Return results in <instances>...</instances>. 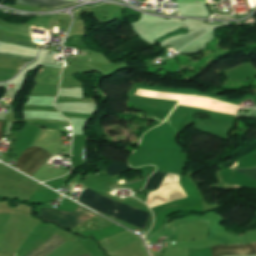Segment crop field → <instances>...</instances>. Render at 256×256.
I'll use <instances>...</instances> for the list:
<instances>
[{"label":"crop field","mask_w":256,"mask_h":256,"mask_svg":"<svg viewBox=\"0 0 256 256\" xmlns=\"http://www.w3.org/2000/svg\"><path fill=\"white\" fill-rule=\"evenodd\" d=\"M11 44L26 46V47H30V48H35L36 45H37V44H32V43L23 42V41L14 42V43H11Z\"/></svg>","instance_id":"28ad6ade"},{"label":"crop field","mask_w":256,"mask_h":256,"mask_svg":"<svg viewBox=\"0 0 256 256\" xmlns=\"http://www.w3.org/2000/svg\"><path fill=\"white\" fill-rule=\"evenodd\" d=\"M130 168L131 167H129L126 164H120L118 162L111 161L110 165L108 166V168L105 172L108 175H116V174H120L124 171H127Z\"/></svg>","instance_id":"e52e79f7"},{"label":"crop field","mask_w":256,"mask_h":256,"mask_svg":"<svg viewBox=\"0 0 256 256\" xmlns=\"http://www.w3.org/2000/svg\"><path fill=\"white\" fill-rule=\"evenodd\" d=\"M97 214L80 207L72 213L61 210L41 208L40 216L46 221H52L65 229H71L73 226L95 216Z\"/></svg>","instance_id":"ac0d7876"},{"label":"crop field","mask_w":256,"mask_h":256,"mask_svg":"<svg viewBox=\"0 0 256 256\" xmlns=\"http://www.w3.org/2000/svg\"><path fill=\"white\" fill-rule=\"evenodd\" d=\"M82 256H90L89 254H86V255H82Z\"/></svg>","instance_id":"cbeb9de0"},{"label":"crop field","mask_w":256,"mask_h":256,"mask_svg":"<svg viewBox=\"0 0 256 256\" xmlns=\"http://www.w3.org/2000/svg\"><path fill=\"white\" fill-rule=\"evenodd\" d=\"M79 201L109 216L132 224L141 229L147 221V212L105 198L89 189L82 192Z\"/></svg>","instance_id":"8a807250"},{"label":"crop field","mask_w":256,"mask_h":256,"mask_svg":"<svg viewBox=\"0 0 256 256\" xmlns=\"http://www.w3.org/2000/svg\"><path fill=\"white\" fill-rule=\"evenodd\" d=\"M1 123H2V122H0V138H1Z\"/></svg>","instance_id":"22f410ed"},{"label":"crop field","mask_w":256,"mask_h":256,"mask_svg":"<svg viewBox=\"0 0 256 256\" xmlns=\"http://www.w3.org/2000/svg\"><path fill=\"white\" fill-rule=\"evenodd\" d=\"M71 3L72 2H66L61 0H15V4L47 8H55Z\"/></svg>","instance_id":"dd49c442"},{"label":"crop field","mask_w":256,"mask_h":256,"mask_svg":"<svg viewBox=\"0 0 256 256\" xmlns=\"http://www.w3.org/2000/svg\"><path fill=\"white\" fill-rule=\"evenodd\" d=\"M163 175H164L163 172L155 171L153 173V175L149 178L144 189H147V190L156 189L158 187Z\"/></svg>","instance_id":"d8731c3e"},{"label":"crop field","mask_w":256,"mask_h":256,"mask_svg":"<svg viewBox=\"0 0 256 256\" xmlns=\"http://www.w3.org/2000/svg\"><path fill=\"white\" fill-rule=\"evenodd\" d=\"M0 57H3V58H10V59H16V60H32V59H33V58H26V57H19V56L7 55V54H0Z\"/></svg>","instance_id":"3316defc"},{"label":"crop field","mask_w":256,"mask_h":256,"mask_svg":"<svg viewBox=\"0 0 256 256\" xmlns=\"http://www.w3.org/2000/svg\"><path fill=\"white\" fill-rule=\"evenodd\" d=\"M240 174H243L251 179L256 180V168L254 169H238V170H234Z\"/></svg>","instance_id":"5a996713"},{"label":"crop field","mask_w":256,"mask_h":256,"mask_svg":"<svg viewBox=\"0 0 256 256\" xmlns=\"http://www.w3.org/2000/svg\"><path fill=\"white\" fill-rule=\"evenodd\" d=\"M50 157V153L39 147L28 148L16 160L15 168L32 176Z\"/></svg>","instance_id":"34b2d1b8"},{"label":"crop field","mask_w":256,"mask_h":256,"mask_svg":"<svg viewBox=\"0 0 256 256\" xmlns=\"http://www.w3.org/2000/svg\"><path fill=\"white\" fill-rule=\"evenodd\" d=\"M212 256L256 255V243L247 245H218L211 248Z\"/></svg>","instance_id":"412701ff"},{"label":"crop field","mask_w":256,"mask_h":256,"mask_svg":"<svg viewBox=\"0 0 256 256\" xmlns=\"http://www.w3.org/2000/svg\"><path fill=\"white\" fill-rule=\"evenodd\" d=\"M66 240L57 236L53 235L33 251H31L27 256H46L63 244Z\"/></svg>","instance_id":"f4fd0767"},{"label":"crop field","mask_w":256,"mask_h":256,"mask_svg":"<svg viewBox=\"0 0 256 256\" xmlns=\"http://www.w3.org/2000/svg\"><path fill=\"white\" fill-rule=\"evenodd\" d=\"M0 41H1V42L10 43V42H13V41H16V40H11V39H6V38L0 37Z\"/></svg>","instance_id":"d1516ede"}]
</instances>
